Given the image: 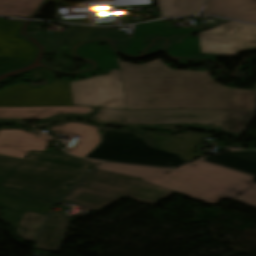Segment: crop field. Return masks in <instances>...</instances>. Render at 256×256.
<instances>
[{"label": "crop field", "instance_id": "obj_1", "mask_svg": "<svg viewBox=\"0 0 256 256\" xmlns=\"http://www.w3.org/2000/svg\"><path fill=\"white\" fill-rule=\"evenodd\" d=\"M128 109H252L254 91L214 82L209 72L170 70L160 60L133 65L117 59Z\"/></svg>", "mask_w": 256, "mask_h": 256}, {"label": "crop field", "instance_id": "obj_2", "mask_svg": "<svg viewBox=\"0 0 256 256\" xmlns=\"http://www.w3.org/2000/svg\"><path fill=\"white\" fill-rule=\"evenodd\" d=\"M96 168L138 177L207 203L233 198L256 207L254 177L201 161L178 169L113 163H101Z\"/></svg>", "mask_w": 256, "mask_h": 256}, {"label": "crop field", "instance_id": "obj_3", "mask_svg": "<svg viewBox=\"0 0 256 256\" xmlns=\"http://www.w3.org/2000/svg\"><path fill=\"white\" fill-rule=\"evenodd\" d=\"M95 164L63 152L30 151L25 159L0 156V185L62 198Z\"/></svg>", "mask_w": 256, "mask_h": 256}, {"label": "crop field", "instance_id": "obj_4", "mask_svg": "<svg viewBox=\"0 0 256 256\" xmlns=\"http://www.w3.org/2000/svg\"><path fill=\"white\" fill-rule=\"evenodd\" d=\"M251 113L252 111L100 109L95 119L103 124L133 128L169 130L173 127H185L203 131H222L238 136Z\"/></svg>", "mask_w": 256, "mask_h": 256}, {"label": "crop field", "instance_id": "obj_5", "mask_svg": "<svg viewBox=\"0 0 256 256\" xmlns=\"http://www.w3.org/2000/svg\"><path fill=\"white\" fill-rule=\"evenodd\" d=\"M85 158L166 167L184 163L178 155L149 147L137 134L120 130L104 131L101 143Z\"/></svg>", "mask_w": 256, "mask_h": 256}, {"label": "crop field", "instance_id": "obj_6", "mask_svg": "<svg viewBox=\"0 0 256 256\" xmlns=\"http://www.w3.org/2000/svg\"><path fill=\"white\" fill-rule=\"evenodd\" d=\"M108 72L109 75L70 82L74 105L127 109L120 70Z\"/></svg>", "mask_w": 256, "mask_h": 256}, {"label": "crop field", "instance_id": "obj_7", "mask_svg": "<svg viewBox=\"0 0 256 256\" xmlns=\"http://www.w3.org/2000/svg\"><path fill=\"white\" fill-rule=\"evenodd\" d=\"M80 186L89 187L148 203H156L173 191L140 181L137 178L94 169Z\"/></svg>", "mask_w": 256, "mask_h": 256}, {"label": "crop field", "instance_id": "obj_8", "mask_svg": "<svg viewBox=\"0 0 256 256\" xmlns=\"http://www.w3.org/2000/svg\"><path fill=\"white\" fill-rule=\"evenodd\" d=\"M256 48V26L228 22L200 33V53L235 55L239 50Z\"/></svg>", "mask_w": 256, "mask_h": 256}, {"label": "crop field", "instance_id": "obj_9", "mask_svg": "<svg viewBox=\"0 0 256 256\" xmlns=\"http://www.w3.org/2000/svg\"><path fill=\"white\" fill-rule=\"evenodd\" d=\"M200 29L183 28L168 29L164 28L162 22L137 25L134 31L128 53L137 55L140 45L148 34H158L169 38L172 41L171 53L175 56H188L199 53V35L192 37L191 34Z\"/></svg>", "mask_w": 256, "mask_h": 256}, {"label": "crop field", "instance_id": "obj_10", "mask_svg": "<svg viewBox=\"0 0 256 256\" xmlns=\"http://www.w3.org/2000/svg\"><path fill=\"white\" fill-rule=\"evenodd\" d=\"M93 107H0V123H21V120H40L42 124L60 117H87Z\"/></svg>", "mask_w": 256, "mask_h": 256}, {"label": "crop field", "instance_id": "obj_11", "mask_svg": "<svg viewBox=\"0 0 256 256\" xmlns=\"http://www.w3.org/2000/svg\"><path fill=\"white\" fill-rule=\"evenodd\" d=\"M50 138L22 129H0V155L25 158L30 150L46 151Z\"/></svg>", "mask_w": 256, "mask_h": 256}, {"label": "crop field", "instance_id": "obj_12", "mask_svg": "<svg viewBox=\"0 0 256 256\" xmlns=\"http://www.w3.org/2000/svg\"><path fill=\"white\" fill-rule=\"evenodd\" d=\"M0 106H70L68 90H25L0 93Z\"/></svg>", "mask_w": 256, "mask_h": 256}, {"label": "crop field", "instance_id": "obj_13", "mask_svg": "<svg viewBox=\"0 0 256 256\" xmlns=\"http://www.w3.org/2000/svg\"><path fill=\"white\" fill-rule=\"evenodd\" d=\"M21 23L0 20V56L31 60L37 49L18 36Z\"/></svg>", "mask_w": 256, "mask_h": 256}, {"label": "crop field", "instance_id": "obj_14", "mask_svg": "<svg viewBox=\"0 0 256 256\" xmlns=\"http://www.w3.org/2000/svg\"><path fill=\"white\" fill-rule=\"evenodd\" d=\"M201 13L256 23V0H211Z\"/></svg>", "mask_w": 256, "mask_h": 256}, {"label": "crop field", "instance_id": "obj_15", "mask_svg": "<svg viewBox=\"0 0 256 256\" xmlns=\"http://www.w3.org/2000/svg\"><path fill=\"white\" fill-rule=\"evenodd\" d=\"M147 134L155 139V144L159 147L179 154L186 162L191 161L200 155L193 154L195 146L204 138H212V135L200 134L188 131L178 139L173 136H162L148 131Z\"/></svg>", "mask_w": 256, "mask_h": 256}, {"label": "crop field", "instance_id": "obj_16", "mask_svg": "<svg viewBox=\"0 0 256 256\" xmlns=\"http://www.w3.org/2000/svg\"><path fill=\"white\" fill-rule=\"evenodd\" d=\"M47 130L59 134L68 133L80 136L78 139L80 143L78 145L75 144L68 152L79 157H84L100 143V133H98L97 127H90L78 123H65L62 126L49 127Z\"/></svg>", "mask_w": 256, "mask_h": 256}, {"label": "crop field", "instance_id": "obj_17", "mask_svg": "<svg viewBox=\"0 0 256 256\" xmlns=\"http://www.w3.org/2000/svg\"><path fill=\"white\" fill-rule=\"evenodd\" d=\"M69 222L66 215L51 213L35 249L59 253Z\"/></svg>", "mask_w": 256, "mask_h": 256}, {"label": "crop field", "instance_id": "obj_18", "mask_svg": "<svg viewBox=\"0 0 256 256\" xmlns=\"http://www.w3.org/2000/svg\"><path fill=\"white\" fill-rule=\"evenodd\" d=\"M3 218L15 227L22 239L34 241L46 216L19 209H5Z\"/></svg>", "mask_w": 256, "mask_h": 256}, {"label": "crop field", "instance_id": "obj_19", "mask_svg": "<svg viewBox=\"0 0 256 256\" xmlns=\"http://www.w3.org/2000/svg\"><path fill=\"white\" fill-rule=\"evenodd\" d=\"M119 198L121 196L77 186L64 201L99 210Z\"/></svg>", "mask_w": 256, "mask_h": 256}, {"label": "crop field", "instance_id": "obj_20", "mask_svg": "<svg viewBox=\"0 0 256 256\" xmlns=\"http://www.w3.org/2000/svg\"><path fill=\"white\" fill-rule=\"evenodd\" d=\"M202 160L256 175V151L228 152Z\"/></svg>", "mask_w": 256, "mask_h": 256}, {"label": "crop field", "instance_id": "obj_21", "mask_svg": "<svg viewBox=\"0 0 256 256\" xmlns=\"http://www.w3.org/2000/svg\"><path fill=\"white\" fill-rule=\"evenodd\" d=\"M58 198L0 186V200L47 210Z\"/></svg>", "mask_w": 256, "mask_h": 256}, {"label": "crop field", "instance_id": "obj_22", "mask_svg": "<svg viewBox=\"0 0 256 256\" xmlns=\"http://www.w3.org/2000/svg\"><path fill=\"white\" fill-rule=\"evenodd\" d=\"M207 0H160L164 17L189 16L198 12Z\"/></svg>", "mask_w": 256, "mask_h": 256}, {"label": "crop field", "instance_id": "obj_23", "mask_svg": "<svg viewBox=\"0 0 256 256\" xmlns=\"http://www.w3.org/2000/svg\"><path fill=\"white\" fill-rule=\"evenodd\" d=\"M79 56L94 60L99 68H118L115 53L108 46L88 45L76 52Z\"/></svg>", "mask_w": 256, "mask_h": 256}, {"label": "crop field", "instance_id": "obj_24", "mask_svg": "<svg viewBox=\"0 0 256 256\" xmlns=\"http://www.w3.org/2000/svg\"><path fill=\"white\" fill-rule=\"evenodd\" d=\"M44 0H0V15L29 17Z\"/></svg>", "mask_w": 256, "mask_h": 256}, {"label": "crop field", "instance_id": "obj_25", "mask_svg": "<svg viewBox=\"0 0 256 256\" xmlns=\"http://www.w3.org/2000/svg\"><path fill=\"white\" fill-rule=\"evenodd\" d=\"M24 89H33V88H31L23 83H17L15 85L9 86L7 88L1 89L0 92L7 91V90H24ZM43 89H69L70 102H71V106H73L69 81L54 80L50 85H45Z\"/></svg>", "mask_w": 256, "mask_h": 256}, {"label": "crop field", "instance_id": "obj_26", "mask_svg": "<svg viewBox=\"0 0 256 256\" xmlns=\"http://www.w3.org/2000/svg\"><path fill=\"white\" fill-rule=\"evenodd\" d=\"M30 63H32V61H24V60L0 57V74L12 69L26 66Z\"/></svg>", "mask_w": 256, "mask_h": 256}, {"label": "crop field", "instance_id": "obj_27", "mask_svg": "<svg viewBox=\"0 0 256 256\" xmlns=\"http://www.w3.org/2000/svg\"><path fill=\"white\" fill-rule=\"evenodd\" d=\"M58 200H60V198H59ZM58 200H57V201H58ZM57 201H56V202H57ZM56 202H55V203H56ZM55 203H54V204H55ZM54 204H53V205H54ZM0 205H4V206H8V207H14V208H20V209H24V210H28V211H32V212L44 214V215H47V214H45V213L48 212V210L53 206V205H52L47 211H44V210H40V209H35V208H29V207H24V206L9 204V203H5V202H1V201H0Z\"/></svg>", "mask_w": 256, "mask_h": 256}, {"label": "crop field", "instance_id": "obj_28", "mask_svg": "<svg viewBox=\"0 0 256 256\" xmlns=\"http://www.w3.org/2000/svg\"><path fill=\"white\" fill-rule=\"evenodd\" d=\"M41 71L47 72V73L50 72V71H48V70H46V69H44V68H39V69H37V70L32 71L33 78H35V79L43 78V77H42V74H41Z\"/></svg>", "mask_w": 256, "mask_h": 256}, {"label": "crop field", "instance_id": "obj_29", "mask_svg": "<svg viewBox=\"0 0 256 256\" xmlns=\"http://www.w3.org/2000/svg\"><path fill=\"white\" fill-rule=\"evenodd\" d=\"M85 160H86V159H85ZM88 161L93 162V163H95V164L99 163V161H93V160H88Z\"/></svg>", "mask_w": 256, "mask_h": 256}]
</instances>
